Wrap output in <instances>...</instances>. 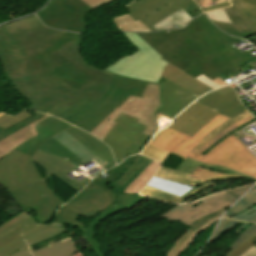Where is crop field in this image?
I'll return each instance as SVG.
<instances>
[{"label": "crop field", "instance_id": "1", "mask_svg": "<svg viewBox=\"0 0 256 256\" xmlns=\"http://www.w3.org/2000/svg\"><path fill=\"white\" fill-rule=\"evenodd\" d=\"M63 32L41 26L10 34L5 26L0 27L4 74L15 91L31 104L26 109L49 114L64 104L71 107L82 95L98 100L108 89L111 75L85 65L78 51L80 39L57 50L71 61L54 67L55 71L41 78L32 76V66L24 49L38 46Z\"/></svg>", "mask_w": 256, "mask_h": 256}, {"label": "crop field", "instance_id": "2", "mask_svg": "<svg viewBox=\"0 0 256 256\" xmlns=\"http://www.w3.org/2000/svg\"><path fill=\"white\" fill-rule=\"evenodd\" d=\"M165 61L197 77L214 79L225 72H237L243 64L255 61L248 52L240 55L230 44L240 39L220 32L205 15L192 20L185 28L169 33H136Z\"/></svg>", "mask_w": 256, "mask_h": 256}, {"label": "crop field", "instance_id": "3", "mask_svg": "<svg viewBox=\"0 0 256 256\" xmlns=\"http://www.w3.org/2000/svg\"><path fill=\"white\" fill-rule=\"evenodd\" d=\"M70 126L50 116L35 124L37 136L17 146L0 160V183L22 210L30 209L41 224L50 222L57 208L64 203L43 182L31 163V157L45 139Z\"/></svg>", "mask_w": 256, "mask_h": 256}, {"label": "crop field", "instance_id": "4", "mask_svg": "<svg viewBox=\"0 0 256 256\" xmlns=\"http://www.w3.org/2000/svg\"><path fill=\"white\" fill-rule=\"evenodd\" d=\"M91 160L100 161L105 170L115 165L108 146L75 127L45 140L32 157L45 170V178L53 174L77 192L90 179L71 180L66 175Z\"/></svg>", "mask_w": 256, "mask_h": 256}, {"label": "crop field", "instance_id": "5", "mask_svg": "<svg viewBox=\"0 0 256 256\" xmlns=\"http://www.w3.org/2000/svg\"><path fill=\"white\" fill-rule=\"evenodd\" d=\"M134 158L135 156L129 157L120 165L106 171L111 177L105 180L100 181L95 177L80 193L58 210L54 222L73 226L81 232L87 225L78 220V214L86 218L100 212L106 217L111 215L115 199V194L112 191H117L148 160L139 155L125 174L112 185L114 190L110 189V184L129 166ZM143 198L145 197L139 195L119 194L114 213L124 208L130 209Z\"/></svg>", "mask_w": 256, "mask_h": 256}, {"label": "crop field", "instance_id": "6", "mask_svg": "<svg viewBox=\"0 0 256 256\" xmlns=\"http://www.w3.org/2000/svg\"><path fill=\"white\" fill-rule=\"evenodd\" d=\"M123 34L138 50L130 56L125 55L104 71L152 84H156L161 76L199 97L213 90L162 60V57L135 33Z\"/></svg>", "mask_w": 256, "mask_h": 256}, {"label": "crop field", "instance_id": "7", "mask_svg": "<svg viewBox=\"0 0 256 256\" xmlns=\"http://www.w3.org/2000/svg\"><path fill=\"white\" fill-rule=\"evenodd\" d=\"M71 236L73 231L55 224L38 225L28 212H22L0 225V256H31L23 239L32 253Z\"/></svg>", "mask_w": 256, "mask_h": 256}, {"label": "crop field", "instance_id": "8", "mask_svg": "<svg viewBox=\"0 0 256 256\" xmlns=\"http://www.w3.org/2000/svg\"><path fill=\"white\" fill-rule=\"evenodd\" d=\"M146 107V109H144ZM160 107L159 85L148 84L142 98L129 96L125 102L116 110H114L98 127L90 134L99 139L108 133L115 122L113 120L122 112L124 114L135 117L138 123L143 124L146 129L143 134L153 136L157 131L155 121V110Z\"/></svg>", "mask_w": 256, "mask_h": 256}, {"label": "crop field", "instance_id": "9", "mask_svg": "<svg viewBox=\"0 0 256 256\" xmlns=\"http://www.w3.org/2000/svg\"><path fill=\"white\" fill-rule=\"evenodd\" d=\"M189 158L226 166L256 178V158L232 134L205 156L192 152Z\"/></svg>", "mask_w": 256, "mask_h": 256}, {"label": "crop field", "instance_id": "10", "mask_svg": "<svg viewBox=\"0 0 256 256\" xmlns=\"http://www.w3.org/2000/svg\"><path fill=\"white\" fill-rule=\"evenodd\" d=\"M114 121L117 123L102 141L111 147L119 163L121 158L139 153L151 137L141 134L145 126L136 123L135 118L120 113Z\"/></svg>", "mask_w": 256, "mask_h": 256}, {"label": "crop field", "instance_id": "11", "mask_svg": "<svg viewBox=\"0 0 256 256\" xmlns=\"http://www.w3.org/2000/svg\"><path fill=\"white\" fill-rule=\"evenodd\" d=\"M89 7L81 0H53L38 16L48 27L85 34Z\"/></svg>", "mask_w": 256, "mask_h": 256}, {"label": "crop field", "instance_id": "12", "mask_svg": "<svg viewBox=\"0 0 256 256\" xmlns=\"http://www.w3.org/2000/svg\"><path fill=\"white\" fill-rule=\"evenodd\" d=\"M183 8L193 19L203 13L193 0H138L126 10L134 21L140 20L151 31V26Z\"/></svg>", "mask_w": 256, "mask_h": 256}, {"label": "crop field", "instance_id": "13", "mask_svg": "<svg viewBox=\"0 0 256 256\" xmlns=\"http://www.w3.org/2000/svg\"><path fill=\"white\" fill-rule=\"evenodd\" d=\"M46 117L48 116L41 113L32 116L26 110L14 116H0V159L23 141L37 135L34 124Z\"/></svg>", "mask_w": 256, "mask_h": 256}, {"label": "crop field", "instance_id": "14", "mask_svg": "<svg viewBox=\"0 0 256 256\" xmlns=\"http://www.w3.org/2000/svg\"><path fill=\"white\" fill-rule=\"evenodd\" d=\"M227 119L229 118L219 114L192 137L165 126L149 142L185 159L211 130Z\"/></svg>", "mask_w": 256, "mask_h": 256}, {"label": "crop field", "instance_id": "15", "mask_svg": "<svg viewBox=\"0 0 256 256\" xmlns=\"http://www.w3.org/2000/svg\"><path fill=\"white\" fill-rule=\"evenodd\" d=\"M146 85L147 83L122 78L104 104L85 121L77 124L76 127L90 133L114 109L119 107L129 95L141 97Z\"/></svg>", "mask_w": 256, "mask_h": 256}, {"label": "crop field", "instance_id": "16", "mask_svg": "<svg viewBox=\"0 0 256 256\" xmlns=\"http://www.w3.org/2000/svg\"><path fill=\"white\" fill-rule=\"evenodd\" d=\"M120 80V77L113 75L108 83V86H110L108 91L98 101L82 96L71 108L64 105L50 115H55L75 126L77 123L85 120L103 104Z\"/></svg>", "mask_w": 256, "mask_h": 256}, {"label": "crop field", "instance_id": "17", "mask_svg": "<svg viewBox=\"0 0 256 256\" xmlns=\"http://www.w3.org/2000/svg\"><path fill=\"white\" fill-rule=\"evenodd\" d=\"M218 113L194 102L167 126L192 136Z\"/></svg>", "mask_w": 256, "mask_h": 256}, {"label": "crop field", "instance_id": "18", "mask_svg": "<svg viewBox=\"0 0 256 256\" xmlns=\"http://www.w3.org/2000/svg\"><path fill=\"white\" fill-rule=\"evenodd\" d=\"M196 102L228 117L246 109L238 100L234 90L229 86L212 91Z\"/></svg>", "mask_w": 256, "mask_h": 256}, {"label": "crop field", "instance_id": "19", "mask_svg": "<svg viewBox=\"0 0 256 256\" xmlns=\"http://www.w3.org/2000/svg\"><path fill=\"white\" fill-rule=\"evenodd\" d=\"M158 84L161 85L162 96V107L159 111L173 118L188 104L198 98L163 78H160Z\"/></svg>", "mask_w": 256, "mask_h": 256}, {"label": "crop field", "instance_id": "20", "mask_svg": "<svg viewBox=\"0 0 256 256\" xmlns=\"http://www.w3.org/2000/svg\"><path fill=\"white\" fill-rule=\"evenodd\" d=\"M78 38H80V36L77 34L65 32L40 45L45 55L47 56L49 62L51 63L52 67H54L55 65L64 63L66 61H69L66 57L61 55L56 50Z\"/></svg>", "mask_w": 256, "mask_h": 256}, {"label": "crop field", "instance_id": "21", "mask_svg": "<svg viewBox=\"0 0 256 256\" xmlns=\"http://www.w3.org/2000/svg\"><path fill=\"white\" fill-rule=\"evenodd\" d=\"M224 10L233 25L213 21L221 30L241 38H247L256 34L232 6L224 8Z\"/></svg>", "mask_w": 256, "mask_h": 256}, {"label": "crop field", "instance_id": "22", "mask_svg": "<svg viewBox=\"0 0 256 256\" xmlns=\"http://www.w3.org/2000/svg\"><path fill=\"white\" fill-rule=\"evenodd\" d=\"M226 196V194L223 195H218L214 198H211L203 203H201L200 205L196 206L195 208H193L194 210L191 211L190 213H188L187 215H185L184 217H180L181 219H179L178 221L189 225L190 223L194 222L195 220L199 219L200 217L223 209L225 207H228L230 205H232L240 196L232 198V199H228L222 202L217 203L214 199L219 198V197H223Z\"/></svg>", "mask_w": 256, "mask_h": 256}, {"label": "crop field", "instance_id": "23", "mask_svg": "<svg viewBox=\"0 0 256 256\" xmlns=\"http://www.w3.org/2000/svg\"><path fill=\"white\" fill-rule=\"evenodd\" d=\"M256 214V194L236 203L224 216L246 221Z\"/></svg>", "mask_w": 256, "mask_h": 256}, {"label": "crop field", "instance_id": "24", "mask_svg": "<svg viewBox=\"0 0 256 256\" xmlns=\"http://www.w3.org/2000/svg\"><path fill=\"white\" fill-rule=\"evenodd\" d=\"M147 185L155 189L168 192L170 194L178 195L180 197L193 188V186H190L187 184L178 183V182L158 178L155 176L152 177V179L148 182Z\"/></svg>", "mask_w": 256, "mask_h": 256}, {"label": "crop field", "instance_id": "25", "mask_svg": "<svg viewBox=\"0 0 256 256\" xmlns=\"http://www.w3.org/2000/svg\"><path fill=\"white\" fill-rule=\"evenodd\" d=\"M26 52L32 62L34 76L40 77L50 71H53V68L45 57L40 46L26 49Z\"/></svg>", "mask_w": 256, "mask_h": 256}, {"label": "crop field", "instance_id": "26", "mask_svg": "<svg viewBox=\"0 0 256 256\" xmlns=\"http://www.w3.org/2000/svg\"><path fill=\"white\" fill-rule=\"evenodd\" d=\"M230 2L256 32V0H230Z\"/></svg>", "mask_w": 256, "mask_h": 256}, {"label": "crop field", "instance_id": "27", "mask_svg": "<svg viewBox=\"0 0 256 256\" xmlns=\"http://www.w3.org/2000/svg\"><path fill=\"white\" fill-rule=\"evenodd\" d=\"M79 251L73 244L72 237L52 245L48 248L32 253L33 256H69L70 254Z\"/></svg>", "mask_w": 256, "mask_h": 256}, {"label": "crop field", "instance_id": "28", "mask_svg": "<svg viewBox=\"0 0 256 256\" xmlns=\"http://www.w3.org/2000/svg\"><path fill=\"white\" fill-rule=\"evenodd\" d=\"M225 212V210H220L214 213H211L197 221H195L194 223L190 224L189 226H191L192 228L186 232L185 234H183L181 236V238H179L174 245L171 247V249L168 251L166 256H174L175 253L178 251V249L183 245V243L197 230L199 229L202 225H204L206 222L222 215Z\"/></svg>", "mask_w": 256, "mask_h": 256}, {"label": "crop field", "instance_id": "29", "mask_svg": "<svg viewBox=\"0 0 256 256\" xmlns=\"http://www.w3.org/2000/svg\"><path fill=\"white\" fill-rule=\"evenodd\" d=\"M192 20L189 15L181 8L176 13L152 26L157 31L174 29V25H177L176 28L183 27L186 23Z\"/></svg>", "mask_w": 256, "mask_h": 256}, {"label": "crop field", "instance_id": "30", "mask_svg": "<svg viewBox=\"0 0 256 256\" xmlns=\"http://www.w3.org/2000/svg\"><path fill=\"white\" fill-rule=\"evenodd\" d=\"M159 166L153 161L122 193L138 194Z\"/></svg>", "mask_w": 256, "mask_h": 256}, {"label": "crop field", "instance_id": "31", "mask_svg": "<svg viewBox=\"0 0 256 256\" xmlns=\"http://www.w3.org/2000/svg\"><path fill=\"white\" fill-rule=\"evenodd\" d=\"M251 116V113L246 109L242 111L241 113L235 115L234 117L230 118L226 122L222 123L220 126H218L216 129H214L212 132H210L195 148V152H197L201 147H203L206 143H208L211 139H213L217 134H219L224 129L228 128L229 126L233 125L234 123Z\"/></svg>", "mask_w": 256, "mask_h": 256}, {"label": "crop field", "instance_id": "32", "mask_svg": "<svg viewBox=\"0 0 256 256\" xmlns=\"http://www.w3.org/2000/svg\"><path fill=\"white\" fill-rule=\"evenodd\" d=\"M155 176L191 184L193 186L197 185L198 183H204L203 181L189 177V174L177 172V171L162 168V167L159 168V170L156 172Z\"/></svg>", "mask_w": 256, "mask_h": 256}, {"label": "crop field", "instance_id": "33", "mask_svg": "<svg viewBox=\"0 0 256 256\" xmlns=\"http://www.w3.org/2000/svg\"><path fill=\"white\" fill-rule=\"evenodd\" d=\"M198 165H201V166H205V167H209V168H217V169H221V170H228L230 172H234V173H238V174H241L239 172H236L234 170H231L229 168H225V167H221V166H216V165H209V164H204V163H201L199 161H195V160H191L189 158L185 159L177 168L176 170H180V171H184V172H188V173H191L195 170V168L198 166ZM243 176H246L244 174H241ZM254 181H256V179L254 178H251L249 176H246Z\"/></svg>", "mask_w": 256, "mask_h": 256}, {"label": "crop field", "instance_id": "34", "mask_svg": "<svg viewBox=\"0 0 256 256\" xmlns=\"http://www.w3.org/2000/svg\"><path fill=\"white\" fill-rule=\"evenodd\" d=\"M104 219H106L105 216H103L102 214L99 215L97 218H95V220L92 222V224L87 227L86 230L81 232L83 234L85 240L87 241V243L93 249L96 256H103V255L101 254V249H100L98 243L92 238L93 236H95V234H93V228L96 224L100 223Z\"/></svg>", "mask_w": 256, "mask_h": 256}, {"label": "crop field", "instance_id": "35", "mask_svg": "<svg viewBox=\"0 0 256 256\" xmlns=\"http://www.w3.org/2000/svg\"><path fill=\"white\" fill-rule=\"evenodd\" d=\"M191 177L207 181V180H223V179H230V178H237V177H243L238 174L234 175H223L215 172H210L208 170H204L201 168H197L194 173L191 175Z\"/></svg>", "mask_w": 256, "mask_h": 256}, {"label": "crop field", "instance_id": "36", "mask_svg": "<svg viewBox=\"0 0 256 256\" xmlns=\"http://www.w3.org/2000/svg\"><path fill=\"white\" fill-rule=\"evenodd\" d=\"M41 25L42 23L38 20V18L36 16H33L29 19H26L14 24L6 25V27L10 31V33H13V32H17V31H21V30L41 26Z\"/></svg>", "mask_w": 256, "mask_h": 256}, {"label": "crop field", "instance_id": "37", "mask_svg": "<svg viewBox=\"0 0 256 256\" xmlns=\"http://www.w3.org/2000/svg\"><path fill=\"white\" fill-rule=\"evenodd\" d=\"M140 194L146 195L148 197L156 198V199H159V200H162V201H165V202H171V203L174 200H176L177 198H179L175 195H170L168 193L155 190V189L150 188L148 186H145L143 188V190L140 192Z\"/></svg>", "mask_w": 256, "mask_h": 256}, {"label": "crop field", "instance_id": "38", "mask_svg": "<svg viewBox=\"0 0 256 256\" xmlns=\"http://www.w3.org/2000/svg\"><path fill=\"white\" fill-rule=\"evenodd\" d=\"M254 119L253 116L248 117L242 121H240L239 123L229 127L228 129H226L225 131L221 132L218 136H216L213 140H211L208 144H206L203 148H201L198 153L202 154L203 152H205L207 149H209L211 146H213L216 142H218L220 139H222L224 136H226L228 133H230L231 131L237 129L238 127L242 126L243 124L249 122L250 120Z\"/></svg>", "mask_w": 256, "mask_h": 256}, {"label": "crop field", "instance_id": "39", "mask_svg": "<svg viewBox=\"0 0 256 256\" xmlns=\"http://www.w3.org/2000/svg\"><path fill=\"white\" fill-rule=\"evenodd\" d=\"M193 210L188 204L178 205L169 210L165 215L161 216L164 219L176 220Z\"/></svg>", "mask_w": 256, "mask_h": 256}, {"label": "crop field", "instance_id": "40", "mask_svg": "<svg viewBox=\"0 0 256 256\" xmlns=\"http://www.w3.org/2000/svg\"><path fill=\"white\" fill-rule=\"evenodd\" d=\"M141 154H144L152 159H155L157 161H160L161 163L165 160V158L169 155L168 152L159 149L155 146H152L148 144L145 149L141 152Z\"/></svg>", "mask_w": 256, "mask_h": 256}, {"label": "crop field", "instance_id": "41", "mask_svg": "<svg viewBox=\"0 0 256 256\" xmlns=\"http://www.w3.org/2000/svg\"><path fill=\"white\" fill-rule=\"evenodd\" d=\"M256 246V232L253 233L247 240H245L235 251L230 250L225 256H240L251 246Z\"/></svg>", "mask_w": 256, "mask_h": 256}, {"label": "crop field", "instance_id": "42", "mask_svg": "<svg viewBox=\"0 0 256 256\" xmlns=\"http://www.w3.org/2000/svg\"><path fill=\"white\" fill-rule=\"evenodd\" d=\"M255 231H256V224H254L245 232H243L241 235H239L231 244L230 248L234 250L238 245H240L246 238H248Z\"/></svg>", "mask_w": 256, "mask_h": 256}, {"label": "crop field", "instance_id": "43", "mask_svg": "<svg viewBox=\"0 0 256 256\" xmlns=\"http://www.w3.org/2000/svg\"><path fill=\"white\" fill-rule=\"evenodd\" d=\"M206 14L212 20L230 23L226 14L224 13L223 9L212 11V12H207Z\"/></svg>", "mask_w": 256, "mask_h": 256}, {"label": "crop field", "instance_id": "44", "mask_svg": "<svg viewBox=\"0 0 256 256\" xmlns=\"http://www.w3.org/2000/svg\"><path fill=\"white\" fill-rule=\"evenodd\" d=\"M253 185H254V184H250V185L245 186V187H243V188H238V189H233V190L226 191V194H227L228 196L223 197V198L216 199V201L219 202V201H222V200H225V199H228V198H232V197L241 195V194H243L245 191H247V190H248L251 186H253Z\"/></svg>", "mask_w": 256, "mask_h": 256}, {"label": "crop field", "instance_id": "45", "mask_svg": "<svg viewBox=\"0 0 256 256\" xmlns=\"http://www.w3.org/2000/svg\"><path fill=\"white\" fill-rule=\"evenodd\" d=\"M219 218L205 224L204 226H202L199 230H197L185 243L184 245L179 249V251L176 253L175 256H179L181 254V252H183L185 250V248L190 244V242L196 237V235L202 231L203 229H205L206 227H208L209 225H211L212 223L216 222L217 220H219Z\"/></svg>", "mask_w": 256, "mask_h": 256}, {"label": "crop field", "instance_id": "46", "mask_svg": "<svg viewBox=\"0 0 256 256\" xmlns=\"http://www.w3.org/2000/svg\"><path fill=\"white\" fill-rule=\"evenodd\" d=\"M84 3H86L88 6H90L92 9H95L96 7L103 5L105 3H108L110 1L113 0H82ZM136 0H132L131 2H129L127 5H125L124 7L127 8L128 6H130L132 3H134Z\"/></svg>", "mask_w": 256, "mask_h": 256}, {"label": "crop field", "instance_id": "47", "mask_svg": "<svg viewBox=\"0 0 256 256\" xmlns=\"http://www.w3.org/2000/svg\"><path fill=\"white\" fill-rule=\"evenodd\" d=\"M151 162L149 159L117 192L121 193Z\"/></svg>", "mask_w": 256, "mask_h": 256}, {"label": "crop field", "instance_id": "48", "mask_svg": "<svg viewBox=\"0 0 256 256\" xmlns=\"http://www.w3.org/2000/svg\"><path fill=\"white\" fill-rule=\"evenodd\" d=\"M239 221L234 220L232 223H230L228 226H226L223 230H221L213 239L212 242L216 241L224 232L232 229Z\"/></svg>", "mask_w": 256, "mask_h": 256}, {"label": "crop field", "instance_id": "49", "mask_svg": "<svg viewBox=\"0 0 256 256\" xmlns=\"http://www.w3.org/2000/svg\"><path fill=\"white\" fill-rule=\"evenodd\" d=\"M202 75H203V74H202ZM202 75L199 76V77H197V78H195V79H197V80H199V81L205 83L206 85H208V86H210V87H212V88H214V89L220 87V86H218L217 84H215L214 82H212L211 80L207 79L206 77H204V76H202Z\"/></svg>", "mask_w": 256, "mask_h": 256}, {"label": "crop field", "instance_id": "50", "mask_svg": "<svg viewBox=\"0 0 256 256\" xmlns=\"http://www.w3.org/2000/svg\"><path fill=\"white\" fill-rule=\"evenodd\" d=\"M233 220H229V219H225V218H222V220L220 221L217 229L215 230L214 235H216L221 229H223L226 225H228L230 222H232ZM212 236V237H213ZM212 239V238H211Z\"/></svg>", "mask_w": 256, "mask_h": 256}, {"label": "crop field", "instance_id": "51", "mask_svg": "<svg viewBox=\"0 0 256 256\" xmlns=\"http://www.w3.org/2000/svg\"><path fill=\"white\" fill-rule=\"evenodd\" d=\"M213 185H215L214 182H207V183H205V184L199 186L197 189H195L194 191L190 192L189 194H187V195L184 196L183 198H185V197H187V196H189V195H191V194H193V193H195V192H197V191H199V190H202V189H204V188H207V187L213 186ZM183 198L179 199V200L176 201L175 203L179 202V201L182 200ZM175 203H174V204H175Z\"/></svg>", "mask_w": 256, "mask_h": 256}, {"label": "crop field", "instance_id": "52", "mask_svg": "<svg viewBox=\"0 0 256 256\" xmlns=\"http://www.w3.org/2000/svg\"><path fill=\"white\" fill-rule=\"evenodd\" d=\"M225 0H196V2L200 5L201 8L209 6L212 3H219Z\"/></svg>", "mask_w": 256, "mask_h": 256}, {"label": "crop field", "instance_id": "53", "mask_svg": "<svg viewBox=\"0 0 256 256\" xmlns=\"http://www.w3.org/2000/svg\"><path fill=\"white\" fill-rule=\"evenodd\" d=\"M241 256H256V247L253 246V247L249 248Z\"/></svg>", "mask_w": 256, "mask_h": 256}, {"label": "crop field", "instance_id": "54", "mask_svg": "<svg viewBox=\"0 0 256 256\" xmlns=\"http://www.w3.org/2000/svg\"><path fill=\"white\" fill-rule=\"evenodd\" d=\"M222 193H224V192H222ZM222 193H218V194H222ZM218 194H215V195H212V196H210V197H207V198L201 199V200H199V201L193 202V203H191V204H189V205L193 208V207H195L196 205H198L199 203L203 202L204 200H207V199H209V198H211V197H214V196H216V195H218Z\"/></svg>", "mask_w": 256, "mask_h": 256}, {"label": "crop field", "instance_id": "55", "mask_svg": "<svg viewBox=\"0 0 256 256\" xmlns=\"http://www.w3.org/2000/svg\"><path fill=\"white\" fill-rule=\"evenodd\" d=\"M212 81H214L215 83H217V84L220 85V86L228 84V83H226L225 81H223V80H222L221 78H219V77L215 78V79L212 80Z\"/></svg>", "mask_w": 256, "mask_h": 256}, {"label": "crop field", "instance_id": "56", "mask_svg": "<svg viewBox=\"0 0 256 256\" xmlns=\"http://www.w3.org/2000/svg\"><path fill=\"white\" fill-rule=\"evenodd\" d=\"M227 5H230V4L228 2H225V3L219 4V5H215V6L206 8V11L214 9V8H219V7L227 6Z\"/></svg>", "mask_w": 256, "mask_h": 256}, {"label": "crop field", "instance_id": "57", "mask_svg": "<svg viewBox=\"0 0 256 256\" xmlns=\"http://www.w3.org/2000/svg\"><path fill=\"white\" fill-rule=\"evenodd\" d=\"M254 193H256V189H254V190H252V191L246 193L243 198H246V197H248V196H250V195H252V194H254ZM243 198H242V199H243Z\"/></svg>", "mask_w": 256, "mask_h": 256}, {"label": "crop field", "instance_id": "58", "mask_svg": "<svg viewBox=\"0 0 256 256\" xmlns=\"http://www.w3.org/2000/svg\"><path fill=\"white\" fill-rule=\"evenodd\" d=\"M246 224H248L247 222H245L240 228H238L235 232L237 233L240 229H242Z\"/></svg>", "mask_w": 256, "mask_h": 256}, {"label": "crop field", "instance_id": "59", "mask_svg": "<svg viewBox=\"0 0 256 256\" xmlns=\"http://www.w3.org/2000/svg\"><path fill=\"white\" fill-rule=\"evenodd\" d=\"M103 170L101 169V170H99V171H97V172H95V173H93V174H91L92 175V177L93 176H96L98 173H100V172H102Z\"/></svg>", "mask_w": 256, "mask_h": 256}, {"label": "crop field", "instance_id": "60", "mask_svg": "<svg viewBox=\"0 0 256 256\" xmlns=\"http://www.w3.org/2000/svg\"><path fill=\"white\" fill-rule=\"evenodd\" d=\"M252 223H256V218H254L252 221H250Z\"/></svg>", "mask_w": 256, "mask_h": 256}, {"label": "crop field", "instance_id": "61", "mask_svg": "<svg viewBox=\"0 0 256 256\" xmlns=\"http://www.w3.org/2000/svg\"><path fill=\"white\" fill-rule=\"evenodd\" d=\"M254 217H256V215L255 216H253L252 218H250L248 221H250L251 219H253Z\"/></svg>", "mask_w": 256, "mask_h": 256}, {"label": "crop field", "instance_id": "62", "mask_svg": "<svg viewBox=\"0 0 256 256\" xmlns=\"http://www.w3.org/2000/svg\"><path fill=\"white\" fill-rule=\"evenodd\" d=\"M254 188H256V186H254L252 189H254ZM252 189H250V190H252ZM250 190H249V191H250Z\"/></svg>", "mask_w": 256, "mask_h": 256}, {"label": "crop field", "instance_id": "63", "mask_svg": "<svg viewBox=\"0 0 256 256\" xmlns=\"http://www.w3.org/2000/svg\"><path fill=\"white\" fill-rule=\"evenodd\" d=\"M43 1H45V2H46L47 0H43Z\"/></svg>", "mask_w": 256, "mask_h": 256}, {"label": "crop field", "instance_id": "64", "mask_svg": "<svg viewBox=\"0 0 256 256\" xmlns=\"http://www.w3.org/2000/svg\"><path fill=\"white\" fill-rule=\"evenodd\" d=\"M0 115H2V114H0Z\"/></svg>", "mask_w": 256, "mask_h": 256}]
</instances>
